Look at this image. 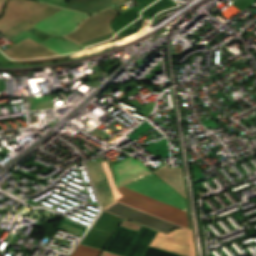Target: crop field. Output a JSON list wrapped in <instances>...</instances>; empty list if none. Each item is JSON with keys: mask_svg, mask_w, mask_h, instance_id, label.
Wrapping results in <instances>:
<instances>
[{"mask_svg": "<svg viewBox=\"0 0 256 256\" xmlns=\"http://www.w3.org/2000/svg\"><path fill=\"white\" fill-rule=\"evenodd\" d=\"M124 187L186 210L185 201L152 173ZM127 188H118L123 196L117 200L188 228L186 211L143 196ZM139 209L115 201L103 210L113 215L144 224L164 234L174 228H185Z\"/></svg>", "mask_w": 256, "mask_h": 256, "instance_id": "8a807250", "label": "crop field"}, {"mask_svg": "<svg viewBox=\"0 0 256 256\" xmlns=\"http://www.w3.org/2000/svg\"><path fill=\"white\" fill-rule=\"evenodd\" d=\"M86 17L84 14L63 9L33 27L52 36L40 42L41 44L66 58H78L92 53L62 36L73 31Z\"/></svg>", "mask_w": 256, "mask_h": 256, "instance_id": "ac0d7876", "label": "crop field"}, {"mask_svg": "<svg viewBox=\"0 0 256 256\" xmlns=\"http://www.w3.org/2000/svg\"><path fill=\"white\" fill-rule=\"evenodd\" d=\"M61 9L31 0H9L0 18V33L11 39Z\"/></svg>", "mask_w": 256, "mask_h": 256, "instance_id": "34b2d1b8", "label": "crop field"}, {"mask_svg": "<svg viewBox=\"0 0 256 256\" xmlns=\"http://www.w3.org/2000/svg\"><path fill=\"white\" fill-rule=\"evenodd\" d=\"M115 14L117 13L113 12L110 9L104 10L100 13H95L92 16L88 17L82 24H80L75 31L66 35V37L78 42L104 34L112 33V30L110 29L108 23L113 17H115ZM114 37L115 34L112 33L78 43L84 47H87Z\"/></svg>", "mask_w": 256, "mask_h": 256, "instance_id": "412701ff", "label": "crop field"}, {"mask_svg": "<svg viewBox=\"0 0 256 256\" xmlns=\"http://www.w3.org/2000/svg\"><path fill=\"white\" fill-rule=\"evenodd\" d=\"M156 231L142 226L138 233L118 227L105 250L125 256H142Z\"/></svg>", "mask_w": 256, "mask_h": 256, "instance_id": "f4fd0767", "label": "crop field"}, {"mask_svg": "<svg viewBox=\"0 0 256 256\" xmlns=\"http://www.w3.org/2000/svg\"><path fill=\"white\" fill-rule=\"evenodd\" d=\"M150 245L185 256H195L192 229H174L167 235L157 232Z\"/></svg>", "mask_w": 256, "mask_h": 256, "instance_id": "dd49c442", "label": "crop field"}, {"mask_svg": "<svg viewBox=\"0 0 256 256\" xmlns=\"http://www.w3.org/2000/svg\"><path fill=\"white\" fill-rule=\"evenodd\" d=\"M3 52L6 53L12 59L54 53L51 50L45 48L44 46L38 44L37 42L27 37L23 39L21 42H19L17 45L13 46V48H7L3 50ZM63 59L65 58L57 54L53 56L18 60L17 62L20 64H32V63L52 62V61L63 60Z\"/></svg>", "mask_w": 256, "mask_h": 256, "instance_id": "e52e79f7", "label": "crop field"}, {"mask_svg": "<svg viewBox=\"0 0 256 256\" xmlns=\"http://www.w3.org/2000/svg\"><path fill=\"white\" fill-rule=\"evenodd\" d=\"M103 167L105 169L107 178L109 180L112 192L114 194L115 199L120 197V195L117 193L116 187L114 185V182L112 180L109 168L107 166V163L104 162L102 163ZM102 164H95V165H88L90 174L92 176L93 182H94V186L95 189L99 195L101 204H106L108 202H110L112 199H114L113 194L111 192L109 183L107 181L104 169L102 167Z\"/></svg>", "mask_w": 256, "mask_h": 256, "instance_id": "d8731c3e", "label": "crop field"}, {"mask_svg": "<svg viewBox=\"0 0 256 256\" xmlns=\"http://www.w3.org/2000/svg\"><path fill=\"white\" fill-rule=\"evenodd\" d=\"M139 166H141V164L139 162H137L134 159L129 157V158L121 161L120 163L114 165V169L117 174V177H119V176L139 167ZM147 172H149V171L142 166V167L118 178L117 179V187L121 186V185L147 173Z\"/></svg>", "mask_w": 256, "mask_h": 256, "instance_id": "5a996713", "label": "crop field"}, {"mask_svg": "<svg viewBox=\"0 0 256 256\" xmlns=\"http://www.w3.org/2000/svg\"><path fill=\"white\" fill-rule=\"evenodd\" d=\"M111 6V0H71L66 8L90 14Z\"/></svg>", "mask_w": 256, "mask_h": 256, "instance_id": "3316defc", "label": "crop field"}, {"mask_svg": "<svg viewBox=\"0 0 256 256\" xmlns=\"http://www.w3.org/2000/svg\"><path fill=\"white\" fill-rule=\"evenodd\" d=\"M154 173L161 177L171 187L176 189L185 198V192L180 169H170L165 166Z\"/></svg>", "mask_w": 256, "mask_h": 256, "instance_id": "28ad6ade", "label": "crop field"}, {"mask_svg": "<svg viewBox=\"0 0 256 256\" xmlns=\"http://www.w3.org/2000/svg\"><path fill=\"white\" fill-rule=\"evenodd\" d=\"M110 236V233L100 232L89 228L80 244L90 245L102 249Z\"/></svg>", "mask_w": 256, "mask_h": 256, "instance_id": "d1516ede", "label": "crop field"}, {"mask_svg": "<svg viewBox=\"0 0 256 256\" xmlns=\"http://www.w3.org/2000/svg\"><path fill=\"white\" fill-rule=\"evenodd\" d=\"M120 221L121 218L102 211L92 227L113 233Z\"/></svg>", "mask_w": 256, "mask_h": 256, "instance_id": "22f410ed", "label": "crop field"}, {"mask_svg": "<svg viewBox=\"0 0 256 256\" xmlns=\"http://www.w3.org/2000/svg\"><path fill=\"white\" fill-rule=\"evenodd\" d=\"M139 19L135 9L133 8L132 10L121 14L120 17H118L116 19L115 22H113L111 25V27L114 29L115 32H119L121 29H123L124 27H126L127 25H129L131 22L135 21ZM133 24H131L130 26H128L127 28H125L123 31H121L120 33H118L119 35H124L131 27Z\"/></svg>", "mask_w": 256, "mask_h": 256, "instance_id": "cbeb9de0", "label": "crop field"}, {"mask_svg": "<svg viewBox=\"0 0 256 256\" xmlns=\"http://www.w3.org/2000/svg\"><path fill=\"white\" fill-rule=\"evenodd\" d=\"M99 252L100 249L78 244L70 256H98Z\"/></svg>", "mask_w": 256, "mask_h": 256, "instance_id": "5142ce71", "label": "crop field"}, {"mask_svg": "<svg viewBox=\"0 0 256 256\" xmlns=\"http://www.w3.org/2000/svg\"><path fill=\"white\" fill-rule=\"evenodd\" d=\"M171 5H173V4L170 1L161 0V1L157 2L156 4H154L153 6H151L150 8L143 11V13H144L145 17H148L149 15H151L152 13L157 11L158 9L163 8V7H167V6H171Z\"/></svg>", "mask_w": 256, "mask_h": 256, "instance_id": "d9b57169", "label": "crop field"}, {"mask_svg": "<svg viewBox=\"0 0 256 256\" xmlns=\"http://www.w3.org/2000/svg\"><path fill=\"white\" fill-rule=\"evenodd\" d=\"M145 256H178V254H174L161 249L150 247L147 253L145 254Z\"/></svg>", "mask_w": 256, "mask_h": 256, "instance_id": "733c2abd", "label": "crop field"}, {"mask_svg": "<svg viewBox=\"0 0 256 256\" xmlns=\"http://www.w3.org/2000/svg\"><path fill=\"white\" fill-rule=\"evenodd\" d=\"M42 1H46L52 4L61 5L65 7V4L62 0H42Z\"/></svg>", "mask_w": 256, "mask_h": 256, "instance_id": "4a817a6b", "label": "crop field"}, {"mask_svg": "<svg viewBox=\"0 0 256 256\" xmlns=\"http://www.w3.org/2000/svg\"><path fill=\"white\" fill-rule=\"evenodd\" d=\"M140 7L143 6L144 4H146L147 2H149L150 0H137Z\"/></svg>", "mask_w": 256, "mask_h": 256, "instance_id": "bc2a9ffb", "label": "crop field"}, {"mask_svg": "<svg viewBox=\"0 0 256 256\" xmlns=\"http://www.w3.org/2000/svg\"><path fill=\"white\" fill-rule=\"evenodd\" d=\"M102 256H118V255L111 254V253H108V252H103Z\"/></svg>", "mask_w": 256, "mask_h": 256, "instance_id": "214f88e0", "label": "crop field"}, {"mask_svg": "<svg viewBox=\"0 0 256 256\" xmlns=\"http://www.w3.org/2000/svg\"><path fill=\"white\" fill-rule=\"evenodd\" d=\"M64 226L69 227V228H72V227L67 226V225H65V224H64ZM62 229H65V228H63V227H62ZM72 229L77 230V231H79V232H80V230H78V229H75V228H72ZM65 230H68V229H65ZM68 231H70V230H68ZM71 232H73V231H71ZM79 232H78V233H79ZM74 233H76V232H74ZM78 233H77V234H78Z\"/></svg>", "mask_w": 256, "mask_h": 256, "instance_id": "92a150f3", "label": "crop field"}, {"mask_svg": "<svg viewBox=\"0 0 256 256\" xmlns=\"http://www.w3.org/2000/svg\"><path fill=\"white\" fill-rule=\"evenodd\" d=\"M4 2H5V0H0V11L2 9V6H3Z\"/></svg>", "mask_w": 256, "mask_h": 256, "instance_id": "dafd665d", "label": "crop field"}]
</instances>
